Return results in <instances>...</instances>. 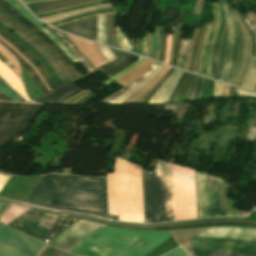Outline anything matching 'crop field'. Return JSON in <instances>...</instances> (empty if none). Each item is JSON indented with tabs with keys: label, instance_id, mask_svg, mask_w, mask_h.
<instances>
[{
	"label": "crop field",
	"instance_id": "8a807250",
	"mask_svg": "<svg viewBox=\"0 0 256 256\" xmlns=\"http://www.w3.org/2000/svg\"><path fill=\"white\" fill-rule=\"evenodd\" d=\"M104 181L98 177L44 175L24 202L109 219L103 200Z\"/></svg>",
	"mask_w": 256,
	"mask_h": 256
},
{
	"label": "crop field",
	"instance_id": "ac0d7876",
	"mask_svg": "<svg viewBox=\"0 0 256 256\" xmlns=\"http://www.w3.org/2000/svg\"><path fill=\"white\" fill-rule=\"evenodd\" d=\"M169 236L168 231L146 232L106 226L71 253L79 256H144Z\"/></svg>",
	"mask_w": 256,
	"mask_h": 256
},
{
	"label": "crop field",
	"instance_id": "34b2d1b8",
	"mask_svg": "<svg viewBox=\"0 0 256 256\" xmlns=\"http://www.w3.org/2000/svg\"><path fill=\"white\" fill-rule=\"evenodd\" d=\"M0 6L3 9H5L7 12H9L12 16H14L16 19H18L23 25H25L27 28H29L31 31H33L35 34H37L39 37H41L44 41H46L56 51V53L64 60L67 67L70 69V71L76 77L72 81L67 82L65 84H61L57 88L48 92L46 90L44 84L40 80V78L36 75L35 71L22 58H20L13 50H11L5 44H3L4 42L2 43L0 41V43L2 45H4L13 55H15L22 63H24L28 68H30L32 70V72L35 74V76L39 80L40 84L46 90V92H47L46 94H43V95L37 97L36 99L32 100L33 102L43 103V104L62 103L65 100L72 97L73 95L83 91L77 85H75L73 82H76L78 80L89 77L101 70L104 73H106L109 77H111V76L123 71L124 69H126L128 66H130L131 64H133L135 61H137L140 58V57H136V56L126 53L125 55L119 57L117 60H115L111 63H107V64L82 76L81 73L78 71V69L70 61V59L44 33H42L39 29H37L28 20L24 19L17 11H15L6 2L0 0Z\"/></svg>",
	"mask_w": 256,
	"mask_h": 256
},
{
	"label": "crop field",
	"instance_id": "412701ff",
	"mask_svg": "<svg viewBox=\"0 0 256 256\" xmlns=\"http://www.w3.org/2000/svg\"><path fill=\"white\" fill-rule=\"evenodd\" d=\"M15 221L25 226H28L38 232H41L51 238L49 239V237L38 233L28 227H25ZM77 221L78 219L29 209L8 225L10 226L12 223L15 222L13 225H11V227L34 238H37L43 242L49 239L48 241H46L47 243Z\"/></svg>",
	"mask_w": 256,
	"mask_h": 256
},
{
	"label": "crop field",
	"instance_id": "f4fd0767",
	"mask_svg": "<svg viewBox=\"0 0 256 256\" xmlns=\"http://www.w3.org/2000/svg\"><path fill=\"white\" fill-rule=\"evenodd\" d=\"M175 220L196 218L194 171L172 165Z\"/></svg>",
	"mask_w": 256,
	"mask_h": 256
},
{
	"label": "crop field",
	"instance_id": "dd49c442",
	"mask_svg": "<svg viewBox=\"0 0 256 256\" xmlns=\"http://www.w3.org/2000/svg\"><path fill=\"white\" fill-rule=\"evenodd\" d=\"M12 103H0V120ZM42 105L13 103L0 121V147L18 136Z\"/></svg>",
	"mask_w": 256,
	"mask_h": 256
},
{
	"label": "crop field",
	"instance_id": "e52e79f7",
	"mask_svg": "<svg viewBox=\"0 0 256 256\" xmlns=\"http://www.w3.org/2000/svg\"><path fill=\"white\" fill-rule=\"evenodd\" d=\"M197 173L198 172H196V179H197L199 218H202V214H203V218L222 215L219 213V199H218V184L221 185L220 182H222V186L219 185L220 212L225 214L224 182L219 179L208 177L202 173H198L201 175V179L203 180H208L213 182H215V180L220 181V182L216 181V183L203 181V180H200V175H198L201 205H202V214H201Z\"/></svg>",
	"mask_w": 256,
	"mask_h": 256
},
{
	"label": "crop field",
	"instance_id": "d8731c3e",
	"mask_svg": "<svg viewBox=\"0 0 256 256\" xmlns=\"http://www.w3.org/2000/svg\"><path fill=\"white\" fill-rule=\"evenodd\" d=\"M145 223L163 221L160 162L153 175L142 170Z\"/></svg>",
	"mask_w": 256,
	"mask_h": 256
},
{
	"label": "crop field",
	"instance_id": "5a996713",
	"mask_svg": "<svg viewBox=\"0 0 256 256\" xmlns=\"http://www.w3.org/2000/svg\"><path fill=\"white\" fill-rule=\"evenodd\" d=\"M0 203V210L4 207ZM45 245L0 225V256H37Z\"/></svg>",
	"mask_w": 256,
	"mask_h": 256
},
{
	"label": "crop field",
	"instance_id": "3316defc",
	"mask_svg": "<svg viewBox=\"0 0 256 256\" xmlns=\"http://www.w3.org/2000/svg\"><path fill=\"white\" fill-rule=\"evenodd\" d=\"M104 225L80 220L48 244L70 252Z\"/></svg>",
	"mask_w": 256,
	"mask_h": 256
},
{
	"label": "crop field",
	"instance_id": "28ad6ade",
	"mask_svg": "<svg viewBox=\"0 0 256 256\" xmlns=\"http://www.w3.org/2000/svg\"><path fill=\"white\" fill-rule=\"evenodd\" d=\"M188 242L191 248L256 254V242L202 237H196Z\"/></svg>",
	"mask_w": 256,
	"mask_h": 256
},
{
	"label": "crop field",
	"instance_id": "d1516ede",
	"mask_svg": "<svg viewBox=\"0 0 256 256\" xmlns=\"http://www.w3.org/2000/svg\"><path fill=\"white\" fill-rule=\"evenodd\" d=\"M223 7H224V11L226 13V17L228 21L229 35H228L225 63H224L221 80L230 83L233 75V71H234L235 62H236L238 35L226 5L223 4Z\"/></svg>",
	"mask_w": 256,
	"mask_h": 256
},
{
	"label": "crop field",
	"instance_id": "22f410ed",
	"mask_svg": "<svg viewBox=\"0 0 256 256\" xmlns=\"http://www.w3.org/2000/svg\"><path fill=\"white\" fill-rule=\"evenodd\" d=\"M212 8H213V21L206 36V40H205V44H204V48L201 56L199 71H198L199 74H202L207 77L210 71V60L213 52L215 37L218 30L219 19H220L218 4H212Z\"/></svg>",
	"mask_w": 256,
	"mask_h": 256
},
{
	"label": "crop field",
	"instance_id": "cbeb9de0",
	"mask_svg": "<svg viewBox=\"0 0 256 256\" xmlns=\"http://www.w3.org/2000/svg\"><path fill=\"white\" fill-rule=\"evenodd\" d=\"M198 236L256 241V228L213 227L206 229Z\"/></svg>",
	"mask_w": 256,
	"mask_h": 256
},
{
	"label": "crop field",
	"instance_id": "5142ce71",
	"mask_svg": "<svg viewBox=\"0 0 256 256\" xmlns=\"http://www.w3.org/2000/svg\"><path fill=\"white\" fill-rule=\"evenodd\" d=\"M0 21L3 24H5L7 27L12 29L17 35H19L23 40L29 43L32 47H34L40 54H42L47 59V61L51 64L55 73L58 75V77L62 80L63 83L66 81H69L68 77L62 71V69L60 68L56 60L53 58V56L46 49H44L36 40H34L27 33L20 30L18 27H16L13 23H11L8 19H6L1 14H0Z\"/></svg>",
	"mask_w": 256,
	"mask_h": 256
},
{
	"label": "crop field",
	"instance_id": "d9b57169",
	"mask_svg": "<svg viewBox=\"0 0 256 256\" xmlns=\"http://www.w3.org/2000/svg\"><path fill=\"white\" fill-rule=\"evenodd\" d=\"M164 221L174 220L171 165L161 162Z\"/></svg>",
	"mask_w": 256,
	"mask_h": 256
},
{
	"label": "crop field",
	"instance_id": "733c2abd",
	"mask_svg": "<svg viewBox=\"0 0 256 256\" xmlns=\"http://www.w3.org/2000/svg\"><path fill=\"white\" fill-rule=\"evenodd\" d=\"M95 27L96 16L81 19L55 28L95 41Z\"/></svg>",
	"mask_w": 256,
	"mask_h": 256
},
{
	"label": "crop field",
	"instance_id": "4a817a6b",
	"mask_svg": "<svg viewBox=\"0 0 256 256\" xmlns=\"http://www.w3.org/2000/svg\"><path fill=\"white\" fill-rule=\"evenodd\" d=\"M8 4H10L14 9H16L22 16L31 21L36 27H38L41 31H43L71 60L73 63H77L78 61L75 57L70 53V51L61 44L44 26L42 23L37 21L28 11H26L17 0H4Z\"/></svg>",
	"mask_w": 256,
	"mask_h": 256
},
{
	"label": "crop field",
	"instance_id": "bc2a9ffb",
	"mask_svg": "<svg viewBox=\"0 0 256 256\" xmlns=\"http://www.w3.org/2000/svg\"><path fill=\"white\" fill-rule=\"evenodd\" d=\"M181 74L182 71L175 69L148 104L166 103Z\"/></svg>",
	"mask_w": 256,
	"mask_h": 256
},
{
	"label": "crop field",
	"instance_id": "214f88e0",
	"mask_svg": "<svg viewBox=\"0 0 256 256\" xmlns=\"http://www.w3.org/2000/svg\"><path fill=\"white\" fill-rule=\"evenodd\" d=\"M234 23L236 25L237 31H238V35H239V47H238V55H237V63H236V67H235V71H234V75L232 78V84H237L239 75L241 73L242 70V66H243V62H244V55H245V40H244V35L242 32V29L236 19V16L233 12V10L230 11Z\"/></svg>",
	"mask_w": 256,
	"mask_h": 256
},
{
	"label": "crop field",
	"instance_id": "92a150f3",
	"mask_svg": "<svg viewBox=\"0 0 256 256\" xmlns=\"http://www.w3.org/2000/svg\"><path fill=\"white\" fill-rule=\"evenodd\" d=\"M47 28L60 42H62L71 51V53L78 59V61L84 66L87 71L94 69V67L87 61V59L76 49V47L66 34L51 29L49 27Z\"/></svg>",
	"mask_w": 256,
	"mask_h": 256
},
{
	"label": "crop field",
	"instance_id": "dafd665d",
	"mask_svg": "<svg viewBox=\"0 0 256 256\" xmlns=\"http://www.w3.org/2000/svg\"><path fill=\"white\" fill-rule=\"evenodd\" d=\"M0 35L5 38L8 42H10L12 45H14L22 54H24L33 64L34 66L39 70V72L44 77L46 83L50 86L51 89L56 87L55 83L51 80V78L48 76L45 68L20 44L12 40L10 37L5 35L3 32L0 31Z\"/></svg>",
	"mask_w": 256,
	"mask_h": 256
},
{
	"label": "crop field",
	"instance_id": "00972430",
	"mask_svg": "<svg viewBox=\"0 0 256 256\" xmlns=\"http://www.w3.org/2000/svg\"><path fill=\"white\" fill-rule=\"evenodd\" d=\"M157 65H158L157 63H154V65L150 69H148L143 75H141L138 79L134 80L132 83H130L129 85L125 86L124 88H122L121 90L117 91L116 93L112 94L111 96L107 97L106 99H104L101 102L108 104L111 101L115 100L116 98L121 96L123 93H125L126 91L131 89L133 86H135L137 83L142 81L144 78H146L155 69V67Z\"/></svg>",
	"mask_w": 256,
	"mask_h": 256
},
{
	"label": "crop field",
	"instance_id": "a9b5d70f",
	"mask_svg": "<svg viewBox=\"0 0 256 256\" xmlns=\"http://www.w3.org/2000/svg\"><path fill=\"white\" fill-rule=\"evenodd\" d=\"M224 20H225V26H224L222 42H221L220 51H219L217 70H216V74H215V78L219 79V80L221 78V73H222V68H223L225 49H226V43H227V34H228V28H227V22H226L225 16H224Z\"/></svg>",
	"mask_w": 256,
	"mask_h": 256
},
{
	"label": "crop field",
	"instance_id": "4177f3b9",
	"mask_svg": "<svg viewBox=\"0 0 256 256\" xmlns=\"http://www.w3.org/2000/svg\"><path fill=\"white\" fill-rule=\"evenodd\" d=\"M162 67H163V65L159 64L157 66V68L144 81H142L139 85H137L136 87H134L133 89H131L130 91H128L127 93H125L124 95H122L121 97L116 99L115 101H113L111 104H120L121 102H123L130 95H132L135 91H137L139 88H141L142 86L147 84L159 72V70Z\"/></svg>",
	"mask_w": 256,
	"mask_h": 256
},
{
	"label": "crop field",
	"instance_id": "730fd06b",
	"mask_svg": "<svg viewBox=\"0 0 256 256\" xmlns=\"http://www.w3.org/2000/svg\"><path fill=\"white\" fill-rule=\"evenodd\" d=\"M160 51V36L158 27L155 28V34H151V58L158 60Z\"/></svg>",
	"mask_w": 256,
	"mask_h": 256
},
{
	"label": "crop field",
	"instance_id": "eef30255",
	"mask_svg": "<svg viewBox=\"0 0 256 256\" xmlns=\"http://www.w3.org/2000/svg\"><path fill=\"white\" fill-rule=\"evenodd\" d=\"M195 256H209L210 251L192 249ZM210 256H256L252 254L228 253L211 251Z\"/></svg>",
	"mask_w": 256,
	"mask_h": 256
},
{
	"label": "crop field",
	"instance_id": "ae1a2a85",
	"mask_svg": "<svg viewBox=\"0 0 256 256\" xmlns=\"http://www.w3.org/2000/svg\"><path fill=\"white\" fill-rule=\"evenodd\" d=\"M96 41L106 44L105 38V15H99L97 19Z\"/></svg>",
	"mask_w": 256,
	"mask_h": 256
},
{
	"label": "crop field",
	"instance_id": "d3111659",
	"mask_svg": "<svg viewBox=\"0 0 256 256\" xmlns=\"http://www.w3.org/2000/svg\"><path fill=\"white\" fill-rule=\"evenodd\" d=\"M242 87L254 90L256 86V69H248Z\"/></svg>",
	"mask_w": 256,
	"mask_h": 256
},
{
	"label": "crop field",
	"instance_id": "750c4746",
	"mask_svg": "<svg viewBox=\"0 0 256 256\" xmlns=\"http://www.w3.org/2000/svg\"><path fill=\"white\" fill-rule=\"evenodd\" d=\"M189 42L190 40H182L181 42L180 54H179V60H178L177 66L183 69L185 67Z\"/></svg>",
	"mask_w": 256,
	"mask_h": 256
},
{
	"label": "crop field",
	"instance_id": "bd1437ed",
	"mask_svg": "<svg viewBox=\"0 0 256 256\" xmlns=\"http://www.w3.org/2000/svg\"><path fill=\"white\" fill-rule=\"evenodd\" d=\"M89 1H94V0H77V1L68 2V3L56 4V5L40 8V9H33L31 11L33 14H36V13H40V12H44L52 9H57V8H61V7H65V6H69L77 3L89 2Z\"/></svg>",
	"mask_w": 256,
	"mask_h": 256
},
{
	"label": "crop field",
	"instance_id": "1d83c4d3",
	"mask_svg": "<svg viewBox=\"0 0 256 256\" xmlns=\"http://www.w3.org/2000/svg\"><path fill=\"white\" fill-rule=\"evenodd\" d=\"M145 59L141 58L140 60H138L136 63H134L133 65H131L130 67H128L126 70H124L123 72L109 78L108 80L102 82L104 84H109L111 81L123 76L124 74H126L128 71L132 70L133 68H135L136 66H138L140 63H142Z\"/></svg>",
	"mask_w": 256,
	"mask_h": 256
},
{
	"label": "crop field",
	"instance_id": "120bbe31",
	"mask_svg": "<svg viewBox=\"0 0 256 256\" xmlns=\"http://www.w3.org/2000/svg\"><path fill=\"white\" fill-rule=\"evenodd\" d=\"M238 12H239V10H238ZM239 14L245 20L246 24L250 28V30L253 33L255 40H256V24L253 22V20L250 18V16L248 14L242 15L240 12H239Z\"/></svg>",
	"mask_w": 256,
	"mask_h": 256
},
{
	"label": "crop field",
	"instance_id": "d32e631a",
	"mask_svg": "<svg viewBox=\"0 0 256 256\" xmlns=\"http://www.w3.org/2000/svg\"><path fill=\"white\" fill-rule=\"evenodd\" d=\"M186 75H187V73L184 72L183 75H182V77L180 78L178 84L176 85V87H175L173 93L171 94V96H170V98H169V100H168L167 103L174 102L175 96H176V94L178 93V91H179L181 85L183 84V82H184V80H185V78H186ZM176 97H177V96H176Z\"/></svg>",
	"mask_w": 256,
	"mask_h": 256
},
{
	"label": "crop field",
	"instance_id": "5866460e",
	"mask_svg": "<svg viewBox=\"0 0 256 256\" xmlns=\"http://www.w3.org/2000/svg\"><path fill=\"white\" fill-rule=\"evenodd\" d=\"M0 13H2L6 18H8L10 21H12L14 24H16L18 27H20L21 29H23L25 32H27L29 35H31L28 31H26L23 27H21L19 24H17L15 21H13L11 18H9L6 14H4L1 10ZM32 36V35H31ZM33 37V36H32ZM35 38V37H33ZM36 39V38H35ZM34 39V40H35ZM37 40V39H36ZM38 41V40H37ZM39 42V41H38ZM40 43V42H39ZM43 47H45L42 43H40ZM46 48V47H45ZM47 49V48H46ZM48 50V49H47ZM49 51V50H48ZM50 52V51H49ZM51 53V52H50ZM52 54V53H51ZM53 55V54H52ZM54 56V55H53ZM54 58L57 60V62L59 63V65L61 66V68L64 70V72L67 74V76L70 78L68 72L66 71V69L63 67V65L59 62V60L54 56Z\"/></svg>",
	"mask_w": 256,
	"mask_h": 256
},
{
	"label": "crop field",
	"instance_id": "028f5c9d",
	"mask_svg": "<svg viewBox=\"0 0 256 256\" xmlns=\"http://www.w3.org/2000/svg\"><path fill=\"white\" fill-rule=\"evenodd\" d=\"M99 50L101 51L102 55L108 60L111 61L115 59L116 57L112 54V52L109 50V48L98 45Z\"/></svg>",
	"mask_w": 256,
	"mask_h": 256
},
{
	"label": "crop field",
	"instance_id": "e1f06a70",
	"mask_svg": "<svg viewBox=\"0 0 256 256\" xmlns=\"http://www.w3.org/2000/svg\"><path fill=\"white\" fill-rule=\"evenodd\" d=\"M196 78H197V76H195V75L192 76L186 100H189V99L193 98L194 90H195V84H196Z\"/></svg>",
	"mask_w": 256,
	"mask_h": 256
},
{
	"label": "crop field",
	"instance_id": "0bd39190",
	"mask_svg": "<svg viewBox=\"0 0 256 256\" xmlns=\"http://www.w3.org/2000/svg\"><path fill=\"white\" fill-rule=\"evenodd\" d=\"M102 1H108V0H99V1L89 2V3L78 4V5H74V6H70V7H65V8H61V9H57V10H52V11L36 14V16L45 15V14H49V13H53V12L73 8V7L80 6V5H86V4L97 3V2H102Z\"/></svg>",
	"mask_w": 256,
	"mask_h": 256
},
{
	"label": "crop field",
	"instance_id": "b80d0937",
	"mask_svg": "<svg viewBox=\"0 0 256 256\" xmlns=\"http://www.w3.org/2000/svg\"><path fill=\"white\" fill-rule=\"evenodd\" d=\"M201 82H202V78L198 76L197 85H196V91H195V95H194L193 99H200Z\"/></svg>",
	"mask_w": 256,
	"mask_h": 256
},
{
	"label": "crop field",
	"instance_id": "c035e120",
	"mask_svg": "<svg viewBox=\"0 0 256 256\" xmlns=\"http://www.w3.org/2000/svg\"><path fill=\"white\" fill-rule=\"evenodd\" d=\"M18 60V59H17ZM19 64L29 73V75L35 80V82L38 84V86L42 89V91L45 93L44 89L41 87V85L39 84V82L37 81L36 77L33 75V73L25 66L23 65L19 60H18Z\"/></svg>",
	"mask_w": 256,
	"mask_h": 256
},
{
	"label": "crop field",
	"instance_id": "c21b1889",
	"mask_svg": "<svg viewBox=\"0 0 256 256\" xmlns=\"http://www.w3.org/2000/svg\"><path fill=\"white\" fill-rule=\"evenodd\" d=\"M165 256H187V255L184 253V251L181 248H179Z\"/></svg>",
	"mask_w": 256,
	"mask_h": 256
},
{
	"label": "crop field",
	"instance_id": "03da06ac",
	"mask_svg": "<svg viewBox=\"0 0 256 256\" xmlns=\"http://www.w3.org/2000/svg\"><path fill=\"white\" fill-rule=\"evenodd\" d=\"M50 256H75V255L55 249L54 252Z\"/></svg>",
	"mask_w": 256,
	"mask_h": 256
},
{
	"label": "crop field",
	"instance_id": "b54c1fbb",
	"mask_svg": "<svg viewBox=\"0 0 256 256\" xmlns=\"http://www.w3.org/2000/svg\"><path fill=\"white\" fill-rule=\"evenodd\" d=\"M0 90L5 93L8 97H10L11 99L15 100V101H20L19 99H17L13 94H11L7 89H5L1 84H0Z\"/></svg>",
	"mask_w": 256,
	"mask_h": 256
},
{
	"label": "crop field",
	"instance_id": "5d738f31",
	"mask_svg": "<svg viewBox=\"0 0 256 256\" xmlns=\"http://www.w3.org/2000/svg\"><path fill=\"white\" fill-rule=\"evenodd\" d=\"M239 95H243V96H250V97H255L256 98V94L252 93V92H248L245 90H240Z\"/></svg>",
	"mask_w": 256,
	"mask_h": 256
},
{
	"label": "crop field",
	"instance_id": "d23c7cc5",
	"mask_svg": "<svg viewBox=\"0 0 256 256\" xmlns=\"http://www.w3.org/2000/svg\"><path fill=\"white\" fill-rule=\"evenodd\" d=\"M47 1H53V0H35V1H27L25 2L26 5L33 4V3H39V2H47Z\"/></svg>",
	"mask_w": 256,
	"mask_h": 256
},
{
	"label": "crop field",
	"instance_id": "425ffa30",
	"mask_svg": "<svg viewBox=\"0 0 256 256\" xmlns=\"http://www.w3.org/2000/svg\"><path fill=\"white\" fill-rule=\"evenodd\" d=\"M24 87H25V89H26V91H27V94H28L30 100L34 99L35 96L28 90V88H27L25 85H24Z\"/></svg>",
	"mask_w": 256,
	"mask_h": 256
},
{
	"label": "crop field",
	"instance_id": "25e5ab78",
	"mask_svg": "<svg viewBox=\"0 0 256 256\" xmlns=\"http://www.w3.org/2000/svg\"><path fill=\"white\" fill-rule=\"evenodd\" d=\"M0 99H9V98H7L2 93H0ZM2 101H12V100H2Z\"/></svg>",
	"mask_w": 256,
	"mask_h": 256
},
{
	"label": "crop field",
	"instance_id": "73cf0c24",
	"mask_svg": "<svg viewBox=\"0 0 256 256\" xmlns=\"http://www.w3.org/2000/svg\"><path fill=\"white\" fill-rule=\"evenodd\" d=\"M233 90H234V88L230 86L229 97H232V96H233Z\"/></svg>",
	"mask_w": 256,
	"mask_h": 256
},
{
	"label": "crop field",
	"instance_id": "89e229c0",
	"mask_svg": "<svg viewBox=\"0 0 256 256\" xmlns=\"http://www.w3.org/2000/svg\"><path fill=\"white\" fill-rule=\"evenodd\" d=\"M256 67V63H251L249 68H255ZM255 91H256V88H255Z\"/></svg>",
	"mask_w": 256,
	"mask_h": 256
},
{
	"label": "crop field",
	"instance_id": "1f2cbd36",
	"mask_svg": "<svg viewBox=\"0 0 256 256\" xmlns=\"http://www.w3.org/2000/svg\"><path fill=\"white\" fill-rule=\"evenodd\" d=\"M0 60H2L4 63L8 62L4 57L0 55Z\"/></svg>",
	"mask_w": 256,
	"mask_h": 256
},
{
	"label": "crop field",
	"instance_id": "dbb93151",
	"mask_svg": "<svg viewBox=\"0 0 256 256\" xmlns=\"http://www.w3.org/2000/svg\"><path fill=\"white\" fill-rule=\"evenodd\" d=\"M251 62H256V56H252V61Z\"/></svg>",
	"mask_w": 256,
	"mask_h": 256
},
{
	"label": "crop field",
	"instance_id": "0fb4a251",
	"mask_svg": "<svg viewBox=\"0 0 256 256\" xmlns=\"http://www.w3.org/2000/svg\"><path fill=\"white\" fill-rule=\"evenodd\" d=\"M23 1H27V0H23Z\"/></svg>",
	"mask_w": 256,
	"mask_h": 256
},
{
	"label": "crop field",
	"instance_id": "1d79db26",
	"mask_svg": "<svg viewBox=\"0 0 256 256\" xmlns=\"http://www.w3.org/2000/svg\"><path fill=\"white\" fill-rule=\"evenodd\" d=\"M1 174H3V173H1ZM7 175V174H6Z\"/></svg>",
	"mask_w": 256,
	"mask_h": 256
}]
</instances>
